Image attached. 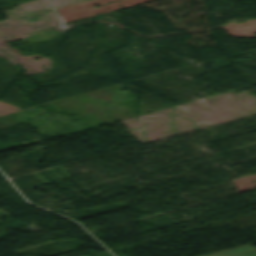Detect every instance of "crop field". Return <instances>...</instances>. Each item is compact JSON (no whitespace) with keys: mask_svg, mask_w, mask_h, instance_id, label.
Segmentation results:
<instances>
[{"mask_svg":"<svg viewBox=\"0 0 256 256\" xmlns=\"http://www.w3.org/2000/svg\"><path fill=\"white\" fill-rule=\"evenodd\" d=\"M253 253H256V248L248 245V246L212 254L209 256H245Z\"/></svg>","mask_w":256,"mask_h":256,"instance_id":"obj_1","label":"crop field"},{"mask_svg":"<svg viewBox=\"0 0 256 256\" xmlns=\"http://www.w3.org/2000/svg\"><path fill=\"white\" fill-rule=\"evenodd\" d=\"M249 256H256V254H253V255H249Z\"/></svg>","mask_w":256,"mask_h":256,"instance_id":"obj_2","label":"crop field"}]
</instances>
